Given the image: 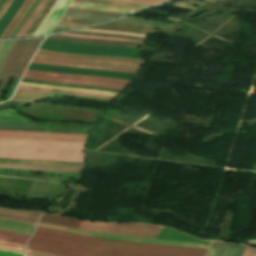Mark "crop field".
Returning <instances> with one entry per match:
<instances>
[{
  "label": "crop field",
  "mask_w": 256,
  "mask_h": 256,
  "mask_svg": "<svg viewBox=\"0 0 256 256\" xmlns=\"http://www.w3.org/2000/svg\"><path fill=\"white\" fill-rule=\"evenodd\" d=\"M83 143L0 138L1 158L83 162Z\"/></svg>",
  "instance_id": "crop-field-1"
},
{
  "label": "crop field",
  "mask_w": 256,
  "mask_h": 256,
  "mask_svg": "<svg viewBox=\"0 0 256 256\" xmlns=\"http://www.w3.org/2000/svg\"><path fill=\"white\" fill-rule=\"evenodd\" d=\"M27 249L61 256H166L149 253L102 249L67 243L33 235Z\"/></svg>",
  "instance_id": "crop-field-2"
},
{
  "label": "crop field",
  "mask_w": 256,
  "mask_h": 256,
  "mask_svg": "<svg viewBox=\"0 0 256 256\" xmlns=\"http://www.w3.org/2000/svg\"><path fill=\"white\" fill-rule=\"evenodd\" d=\"M43 39L44 38L17 42V44L13 48L3 70L0 73V78H3L0 84V93L8 76L9 75L15 76L3 101L10 99L26 66L32 59L34 53L36 52L37 48L39 47Z\"/></svg>",
  "instance_id": "crop-field-3"
},
{
  "label": "crop field",
  "mask_w": 256,
  "mask_h": 256,
  "mask_svg": "<svg viewBox=\"0 0 256 256\" xmlns=\"http://www.w3.org/2000/svg\"><path fill=\"white\" fill-rule=\"evenodd\" d=\"M78 229L97 233L156 239L161 227L129 223H92L82 221Z\"/></svg>",
  "instance_id": "crop-field-4"
},
{
  "label": "crop field",
  "mask_w": 256,
  "mask_h": 256,
  "mask_svg": "<svg viewBox=\"0 0 256 256\" xmlns=\"http://www.w3.org/2000/svg\"><path fill=\"white\" fill-rule=\"evenodd\" d=\"M23 77L122 90L128 81L26 70Z\"/></svg>",
  "instance_id": "crop-field-5"
},
{
  "label": "crop field",
  "mask_w": 256,
  "mask_h": 256,
  "mask_svg": "<svg viewBox=\"0 0 256 256\" xmlns=\"http://www.w3.org/2000/svg\"><path fill=\"white\" fill-rule=\"evenodd\" d=\"M34 234L48 237V238L58 239L62 241H67V242L85 244V245L102 247V248L118 249V250L149 252V253L166 254V255H174V256H204L205 255V253H198V252L162 250V249H152V248H144V247H136V246L101 243V242L89 241V240H84V239H79V238L54 234V233L38 231V230H36Z\"/></svg>",
  "instance_id": "crop-field-6"
},
{
  "label": "crop field",
  "mask_w": 256,
  "mask_h": 256,
  "mask_svg": "<svg viewBox=\"0 0 256 256\" xmlns=\"http://www.w3.org/2000/svg\"><path fill=\"white\" fill-rule=\"evenodd\" d=\"M1 138L19 139H38V140H57L84 142L86 135L78 134H59V133H39V132H20V131H1Z\"/></svg>",
  "instance_id": "crop-field-7"
},
{
  "label": "crop field",
  "mask_w": 256,
  "mask_h": 256,
  "mask_svg": "<svg viewBox=\"0 0 256 256\" xmlns=\"http://www.w3.org/2000/svg\"><path fill=\"white\" fill-rule=\"evenodd\" d=\"M36 229L43 230V231L54 232V233H59V234H64V235H69V236H74V237H79V238H84V239H89V240L108 242V243L136 245V246H145V247L162 248V249L184 250V251H198V252H206L207 251V250H202V249L182 248V247L154 245V244H146V243H138V242L114 241V240L102 239V238L85 237V236H81V235H76V234H72V233H68V232L43 228V227H39V226H36Z\"/></svg>",
  "instance_id": "crop-field-8"
},
{
  "label": "crop field",
  "mask_w": 256,
  "mask_h": 256,
  "mask_svg": "<svg viewBox=\"0 0 256 256\" xmlns=\"http://www.w3.org/2000/svg\"><path fill=\"white\" fill-rule=\"evenodd\" d=\"M69 1L70 0H59L34 36L49 33L54 23L68 6Z\"/></svg>",
  "instance_id": "crop-field-9"
},
{
  "label": "crop field",
  "mask_w": 256,
  "mask_h": 256,
  "mask_svg": "<svg viewBox=\"0 0 256 256\" xmlns=\"http://www.w3.org/2000/svg\"><path fill=\"white\" fill-rule=\"evenodd\" d=\"M55 94L17 89L12 100L35 103L40 100L53 98Z\"/></svg>",
  "instance_id": "crop-field-10"
},
{
  "label": "crop field",
  "mask_w": 256,
  "mask_h": 256,
  "mask_svg": "<svg viewBox=\"0 0 256 256\" xmlns=\"http://www.w3.org/2000/svg\"><path fill=\"white\" fill-rule=\"evenodd\" d=\"M0 163L53 165V166H73V167H82L83 166V163H75V162L21 160V159H0Z\"/></svg>",
  "instance_id": "crop-field-11"
},
{
  "label": "crop field",
  "mask_w": 256,
  "mask_h": 256,
  "mask_svg": "<svg viewBox=\"0 0 256 256\" xmlns=\"http://www.w3.org/2000/svg\"><path fill=\"white\" fill-rule=\"evenodd\" d=\"M39 221L49 223V224L74 228V229H77V227L80 223L79 220L69 219V218L51 215V214H47V213H44V215L41 217V219Z\"/></svg>",
  "instance_id": "crop-field-12"
},
{
  "label": "crop field",
  "mask_w": 256,
  "mask_h": 256,
  "mask_svg": "<svg viewBox=\"0 0 256 256\" xmlns=\"http://www.w3.org/2000/svg\"><path fill=\"white\" fill-rule=\"evenodd\" d=\"M58 0H49L43 10L40 12L32 26L28 29V31L24 34L23 37H29L33 36V34L36 32V30L39 28V26L42 24L44 19L47 17L49 12L52 10L53 6Z\"/></svg>",
  "instance_id": "crop-field-13"
},
{
  "label": "crop field",
  "mask_w": 256,
  "mask_h": 256,
  "mask_svg": "<svg viewBox=\"0 0 256 256\" xmlns=\"http://www.w3.org/2000/svg\"><path fill=\"white\" fill-rule=\"evenodd\" d=\"M34 59H38V60H50V61H60V62H68V63H76V64H86V65L121 67V68L135 69V70H138V68H139L138 66L127 65V64L72 61V60H63V59H54V58L38 57V56H35Z\"/></svg>",
  "instance_id": "crop-field-14"
},
{
  "label": "crop field",
  "mask_w": 256,
  "mask_h": 256,
  "mask_svg": "<svg viewBox=\"0 0 256 256\" xmlns=\"http://www.w3.org/2000/svg\"><path fill=\"white\" fill-rule=\"evenodd\" d=\"M117 22L142 24V25H151V26H159V27H165V28L174 29V24H172V23H166V22H160V21L136 18V17H125V18H122L120 20H117Z\"/></svg>",
  "instance_id": "crop-field-15"
},
{
  "label": "crop field",
  "mask_w": 256,
  "mask_h": 256,
  "mask_svg": "<svg viewBox=\"0 0 256 256\" xmlns=\"http://www.w3.org/2000/svg\"><path fill=\"white\" fill-rule=\"evenodd\" d=\"M29 237H30L29 235H23V234L0 231V240L1 241H7V242L26 245L27 244V239Z\"/></svg>",
  "instance_id": "crop-field-16"
},
{
  "label": "crop field",
  "mask_w": 256,
  "mask_h": 256,
  "mask_svg": "<svg viewBox=\"0 0 256 256\" xmlns=\"http://www.w3.org/2000/svg\"><path fill=\"white\" fill-rule=\"evenodd\" d=\"M31 62H33V63H39V64H47V65L77 67V68L111 70V71H121V72H131V73H134V72H135L134 70H127V69L107 68V67H95V66H84V65L63 64V63H52V62H44V61H36V60H32Z\"/></svg>",
  "instance_id": "crop-field-17"
},
{
  "label": "crop field",
  "mask_w": 256,
  "mask_h": 256,
  "mask_svg": "<svg viewBox=\"0 0 256 256\" xmlns=\"http://www.w3.org/2000/svg\"><path fill=\"white\" fill-rule=\"evenodd\" d=\"M63 16L72 17V18L102 20V21H108V20L117 18L116 16L94 15V14H86V13H78V12H70V11H66Z\"/></svg>",
  "instance_id": "crop-field-18"
},
{
  "label": "crop field",
  "mask_w": 256,
  "mask_h": 256,
  "mask_svg": "<svg viewBox=\"0 0 256 256\" xmlns=\"http://www.w3.org/2000/svg\"><path fill=\"white\" fill-rule=\"evenodd\" d=\"M21 89H29V90H38V91H46V92H53L58 94H68V95H78V96H88V97H95L101 99L110 100L112 97L109 96H101V95H93V94H85V93H77V92H69V91H61V90H53V89H43V88H33V87H23L18 86Z\"/></svg>",
  "instance_id": "crop-field-19"
},
{
  "label": "crop field",
  "mask_w": 256,
  "mask_h": 256,
  "mask_svg": "<svg viewBox=\"0 0 256 256\" xmlns=\"http://www.w3.org/2000/svg\"><path fill=\"white\" fill-rule=\"evenodd\" d=\"M0 213L37 220L41 212L17 211L0 207Z\"/></svg>",
  "instance_id": "crop-field-20"
},
{
  "label": "crop field",
  "mask_w": 256,
  "mask_h": 256,
  "mask_svg": "<svg viewBox=\"0 0 256 256\" xmlns=\"http://www.w3.org/2000/svg\"><path fill=\"white\" fill-rule=\"evenodd\" d=\"M19 85H23V86H33V87H43V88H53V89H62V90H70V91H78V92H86V93L110 95V96L116 95L115 93L104 92V91H95V90H86V89H72V88H60V87H52V86H45V85H38V84L23 83V82H20Z\"/></svg>",
  "instance_id": "crop-field-21"
},
{
  "label": "crop field",
  "mask_w": 256,
  "mask_h": 256,
  "mask_svg": "<svg viewBox=\"0 0 256 256\" xmlns=\"http://www.w3.org/2000/svg\"><path fill=\"white\" fill-rule=\"evenodd\" d=\"M48 0H42L40 5L37 7V9L34 11V13L31 15V17L28 19V21L22 26V28L19 30V32L16 34L15 37H21L25 31L30 27V25L33 23L41 9L44 7Z\"/></svg>",
  "instance_id": "crop-field-22"
},
{
  "label": "crop field",
  "mask_w": 256,
  "mask_h": 256,
  "mask_svg": "<svg viewBox=\"0 0 256 256\" xmlns=\"http://www.w3.org/2000/svg\"><path fill=\"white\" fill-rule=\"evenodd\" d=\"M51 37L77 40V41H87V42L116 43V44H127V45H135V46H143L144 45V44H138V43H128V42H119V41L89 40V39H81V38L64 37V36H58V35H54Z\"/></svg>",
  "instance_id": "crop-field-23"
},
{
  "label": "crop field",
  "mask_w": 256,
  "mask_h": 256,
  "mask_svg": "<svg viewBox=\"0 0 256 256\" xmlns=\"http://www.w3.org/2000/svg\"><path fill=\"white\" fill-rule=\"evenodd\" d=\"M59 35L73 36V37H82V38H90V39H110V40H119V41L144 43V41L131 40V39H123V38H114V37L88 36V35H75V34H59Z\"/></svg>",
  "instance_id": "crop-field-24"
},
{
  "label": "crop field",
  "mask_w": 256,
  "mask_h": 256,
  "mask_svg": "<svg viewBox=\"0 0 256 256\" xmlns=\"http://www.w3.org/2000/svg\"><path fill=\"white\" fill-rule=\"evenodd\" d=\"M36 55H39V56H47V57H55V58H63V59H72V60H84V61H100V62L127 63V62L106 61V60H92V59H81V58L59 57V56H53V55H47V54H40V53H36ZM127 64H133V65H138V66H140L139 64H135V63H127Z\"/></svg>",
  "instance_id": "crop-field-25"
},
{
  "label": "crop field",
  "mask_w": 256,
  "mask_h": 256,
  "mask_svg": "<svg viewBox=\"0 0 256 256\" xmlns=\"http://www.w3.org/2000/svg\"><path fill=\"white\" fill-rule=\"evenodd\" d=\"M0 244L11 245V246H16V247H22V248L26 249V246H24V245L12 244V243L1 242V241H0ZM5 245H0V249L16 251V252H22V253L24 251V249H22V248L10 247V246H5ZM24 253H25V251H24Z\"/></svg>",
  "instance_id": "crop-field-26"
},
{
  "label": "crop field",
  "mask_w": 256,
  "mask_h": 256,
  "mask_svg": "<svg viewBox=\"0 0 256 256\" xmlns=\"http://www.w3.org/2000/svg\"><path fill=\"white\" fill-rule=\"evenodd\" d=\"M32 0H27L25 6L23 7V9L20 11V13L18 14V16L16 17V19L13 21V23L11 24V26L9 27V29L7 30V32L5 33V35L3 36V38H7V36L9 35L10 31L12 30V28L14 27V25L17 23V21L21 18V16L24 14L25 10L27 9V7L29 6V4L31 3Z\"/></svg>",
  "instance_id": "crop-field-27"
},
{
  "label": "crop field",
  "mask_w": 256,
  "mask_h": 256,
  "mask_svg": "<svg viewBox=\"0 0 256 256\" xmlns=\"http://www.w3.org/2000/svg\"><path fill=\"white\" fill-rule=\"evenodd\" d=\"M109 1L145 3V4L156 5V4L162 3L167 0H109Z\"/></svg>",
  "instance_id": "crop-field-28"
},
{
  "label": "crop field",
  "mask_w": 256,
  "mask_h": 256,
  "mask_svg": "<svg viewBox=\"0 0 256 256\" xmlns=\"http://www.w3.org/2000/svg\"><path fill=\"white\" fill-rule=\"evenodd\" d=\"M73 7H79V8H86V9H96V10H105V11H115V12H125V13H132L134 11L132 10H122V9H112V8H97V7H87V6H79V5H72Z\"/></svg>",
  "instance_id": "crop-field-29"
},
{
  "label": "crop field",
  "mask_w": 256,
  "mask_h": 256,
  "mask_svg": "<svg viewBox=\"0 0 256 256\" xmlns=\"http://www.w3.org/2000/svg\"><path fill=\"white\" fill-rule=\"evenodd\" d=\"M15 44H16V42H10V44L7 46L5 52L0 60V71Z\"/></svg>",
  "instance_id": "crop-field-30"
},
{
  "label": "crop field",
  "mask_w": 256,
  "mask_h": 256,
  "mask_svg": "<svg viewBox=\"0 0 256 256\" xmlns=\"http://www.w3.org/2000/svg\"><path fill=\"white\" fill-rule=\"evenodd\" d=\"M39 51H41V52H48V53H54V54H66V55L85 56V57H100V58L125 59V60H131V61L144 62V61L134 60V59H128V58H116V57H101V56L78 55V54H69V53L49 52V51H42V50H39Z\"/></svg>",
  "instance_id": "crop-field-31"
},
{
  "label": "crop field",
  "mask_w": 256,
  "mask_h": 256,
  "mask_svg": "<svg viewBox=\"0 0 256 256\" xmlns=\"http://www.w3.org/2000/svg\"><path fill=\"white\" fill-rule=\"evenodd\" d=\"M72 3L81 4V5H88V6L113 7V8H122V9L139 10V8H127V7L106 6V5H97V4L81 3V2H75V1H73Z\"/></svg>",
  "instance_id": "crop-field-32"
},
{
  "label": "crop field",
  "mask_w": 256,
  "mask_h": 256,
  "mask_svg": "<svg viewBox=\"0 0 256 256\" xmlns=\"http://www.w3.org/2000/svg\"><path fill=\"white\" fill-rule=\"evenodd\" d=\"M242 256H256V250L245 247Z\"/></svg>",
  "instance_id": "crop-field-33"
},
{
  "label": "crop field",
  "mask_w": 256,
  "mask_h": 256,
  "mask_svg": "<svg viewBox=\"0 0 256 256\" xmlns=\"http://www.w3.org/2000/svg\"><path fill=\"white\" fill-rule=\"evenodd\" d=\"M0 256H24V254L0 250Z\"/></svg>",
  "instance_id": "crop-field-34"
},
{
  "label": "crop field",
  "mask_w": 256,
  "mask_h": 256,
  "mask_svg": "<svg viewBox=\"0 0 256 256\" xmlns=\"http://www.w3.org/2000/svg\"><path fill=\"white\" fill-rule=\"evenodd\" d=\"M0 217L36 223L35 220H29V219L18 218V217H13V216H7V215H2V214H0Z\"/></svg>",
  "instance_id": "crop-field-35"
},
{
  "label": "crop field",
  "mask_w": 256,
  "mask_h": 256,
  "mask_svg": "<svg viewBox=\"0 0 256 256\" xmlns=\"http://www.w3.org/2000/svg\"><path fill=\"white\" fill-rule=\"evenodd\" d=\"M11 2H12V0H7L5 2V4L3 5V7L0 10V18L4 14V12L6 11V9L8 8V6L10 5Z\"/></svg>",
  "instance_id": "crop-field-36"
},
{
  "label": "crop field",
  "mask_w": 256,
  "mask_h": 256,
  "mask_svg": "<svg viewBox=\"0 0 256 256\" xmlns=\"http://www.w3.org/2000/svg\"><path fill=\"white\" fill-rule=\"evenodd\" d=\"M40 1H41V0H39V1L36 3V5L34 6L33 10L37 7V5L40 3ZM33 10L31 11V13L33 12ZM31 13L28 15V17L25 19V21L22 23V25L27 21V19H28L29 16L31 15ZM22 25H21V26H22ZM21 26L19 27V29L21 28ZM19 29H18V30H19ZM18 30H17V31H18ZM17 31H16V33H17ZM16 33H15V34H16ZM15 34H14V35H15ZM14 35H13V37H14ZM13 37H12V38H13Z\"/></svg>",
  "instance_id": "crop-field-37"
},
{
  "label": "crop field",
  "mask_w": 256,
  "mask_h": 256,
  "mask_svg": "<svg viewBox=\"0 0 256 256\" xmlns=\"http://www.w3.org/2000/svg\"><path fill=\"white\" fill-rule=\"evenodd\" d=\"M68 9L86 10V9H78V8H72V7H69ZM89 11H96V10H89ZM98 12H104V13H115V12H105V11H98ZM117 14H125V13H117Z\"/></svg>",
  "instance_id": "crop-field-38"
},
{
  "label": "crop field",
  "mask_w": 256,
  "mask_h": 256,
  "mask_svg": "<svg viewBox=\"0 0 256 256\" xmlns=\"http://www.w3.org/2000/svg\"><path fill=\"white\" fill-rule=\"evenodd\" d=\"M8 43H9V42H6L5 45L2 47V49H1V51H0V58H1V56H2V54H3V52H4V50H5L6 46L8 45Z\"/></svg>",
  "instance_id": "crop-field-39"
},
{
  "label": "crop field",
  "mask_w": 256,
  "mask_h": 256,
  "mask_svg": "<svg viewBox=\"0 0 256 256\" xmlns=\"http://www.w3.org/2000/svg\"><path fill=\"white\" fill-rule=\"evenodd\" d=\"M25 2H26V1H25ZM25 2H24V4H25ZM24 4L22 5V7L24 6ZM22 7L20 8V10L22 9ZM20 10H19V11H20ZM19 11H18V13H19ZM18 13H17V14H18ZM17 14H16V16H17ZM16 16H15V17H16ZM15 17H14V19H15ZM14 19H13V20H14ZM13 20H12V21H13ZM11 23H12V22H11ZM9 26H10V25H9ZM7 29H8V28H7ZM7 29H6V30H7ZM5 32H6V31H5ZM5 32H4V33H5ZM4 33L1 35L0 38H2V36L4 35Z\"/></svg>",
  "instance_id": "crop-field-40"
},
{
  "label": "crop field",
  "mask_w": 256,
  "mask_h": 256,
  "mask_svg": "<svg viewBox=\"0 0 256 256\" xmlns=\"http://www.w3.org/2000/svg\"><path fill=\"white\" fill-rule=\"evenodd\" d=\"M33 2H34V0H33ZM33 2H32V3H33ZM31 5H32V4H31ZM31 5H30V6H31ZM28 9H29V8H28ZM28 9H27V10H28ZM26 12H27V11H26ZM26 12H25V13H26ZM25 15H26V14H25ZM23 16H24V15H23ZM16 26H17V25H16ZM13 30H14V29H13ZM12 33H13V32H12ZM10 34H11V33H10ZM9 36H10V35H9ZM9 36H8V38H9Z\"/></svg>",
  "instance_id": "crop-field-41"
},
{
  "label": "crop field",
  "mask_w": 256,
  "mask_h": 256,
  "mask_svg": "<svg viewBox=\"0 0 256 256\" xmlns=\"http://www.w3.org/2000/svg\"><path fill=\"white\" fill-rule=\"evenodd\" d=\"M28 256H35V255H30V254H27Z\"/></svg>",
  "instance_id": "crop-field-42"
},
{
  "label": "crop field",
  "mask_w": 256,
  "mask_h": 256,
  "mask_svg": "<svg viewBox=\"0 0 256 256\" xmlns=\"http://www.w3.org/2000/svg\"><path fill=\"white\" fill-rule=\"evenodd\" d=\"M4 43H5V42H4ZM2 46H3V45H2ZM2 46H1V47H2Z\"/></svg>",
  "instance_id": "crop-field-43"
}]
</instances>
